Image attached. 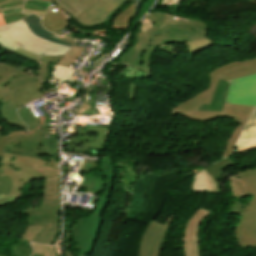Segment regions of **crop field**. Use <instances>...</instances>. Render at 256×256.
Returning <instances> with one entry per match:
<instances>
[{
	"instance_id": "8a807250",
	"label": "crop field",
	"mask_w": 256,
	"mask_h": 256,
	"mask_svg": "<svg viewBox=\"0 0 256 256\" xmlns=\"http://www.w3.org/2000/svg\"><path fill=\"white\" fill-rule=\"evenodd\" d=\"M254 73H256V58L229 62L217 69H214L209 73L208 88L173 107L170 115L176 116L179 114L196 121H209L224 116L237 119L240 124L235 129L228 141L224 153V157H226L231 154L233 145L254 107L225 103L223 112L195 110L199 108L203 103H210L214 90L220 79L227 81Z\"/></svg>"
},
{
	"instance_id": "ac0d7876",
	"label": "crop field",
	"mask_w": 256,
	"mask_h": 256,
	"mask_svg": "<svg viewBox=\"0 0 256 256\" xmlns=\"http://www.w3.org/2000/svg\"><path fill=\"white\" fill-rule=\"evenodd\" d=\"M212 30L197 25H168L161 30H154L148 34H137V43L126 52L120 62L113 64H130L137 69L151 75L149 61L155 48L161 44L186 42L193 39L206 37V31Z\"/></svg>"
},
{
	"instance_id": "34b2d1b8",
	"label": "crop field",
	"mask_w": 256,
	"mask_h": 256,
	"mask_svg": "<svg viewBox=\"0 0 256 256\" xmlns=\"http://www.w3.org/2000/svg\"><path fill=\"white\" fill-rule=\"evenodd\" d=\"M57 163L58 161L2 153L0 156V175L1 177L10 176L13 187L8 196L0 195V206L15 201L20 193L21 183L57 175Z\"/></svg>"
},
{
	"instance_id": "412701ff",
	"label": "crop field",
	"mask_w": 256,
	"mask_h": 256,
	"mask_svg": "<svg viewBox=\"0 0 256 256\" xmlns=\"http://www.w3.org/2000/svg\"><path fill=\"white\" fill-rule=\"evenodd\" d=\"M234 176L245 180L246 187L254 198L245 205L234 202L230 206L227 213L241 217L233 231V238L242 248H256V169L239 172Z\"/></svg>"
},
{
	"instance_id": "f4fd0767",
	"label": "crop field",
	"mask_w": 256,
	"mask_h": 256,
	"mask_svg": "<svg viewBox=\"0 0 256 256\" xmlns=\"http://www.w3.org/2000/svg\"><path fill=\"white\" fill-rule=\"evenodd\" d=\"M0 45L11 52L20 47L39 56L62 55L70 49L35 36L24 20L0 28Z\"/></svg>"
},
{
	"instance_id": "dd49c442",
	"label": "crop field",
	"mask_w": 256,
	"mask_h": 256,
	"mask_svg": "<svg viewBox=\"0 0 256 256\" xmlns=\"http://www.w3.org/2000/svg\"><path fill=\"white\" fill-rule=\"evenodd\" d=\"M104 219L101 217L80 218L79 224L65 234V256L90 254L98 239Z\"/></svg>"
},
{
	"instance_id": "e52e79f7",
	"label": "crop field",
	"mask_w": 256,
	"mask_h": 256,
	"mask_svg": "<svg viewBox=\"0 0 256 256\" xmlns=\"http://www.w3.org/2000/svg\"><path fill=\"white\" fill-rule=\"evenodd\" d=\"M56 200H43L40 208L22 210V214H29L27 224L45 226L41 233L34 238V242L50 244L59 229L58 207Z\"/></svg>"
},
{
	"instance_id": "d8731c3e",
	"label": "crop field",
	"mask_w": 256,
	"mask_h": 256,
	"mask_svg": "<svg viewBox=\"0 0 256 256\" xmlns=\"http://www.w3.org/2000/svg\"><path fill=\"white\" fill-rule=\"evenodd\" d=\"M28 69L0 64V101L6 102L24 85L38 81L34 74L27 75Z\"/></svg>"
},
{
	"instance_id": "5a996713",
	"label": "crop field",
	"mask_w": 256,
	"mask_h": 256,
	"mask_svg": "<svg viewBox=\"0 0 256 256\" xmlns=\"http://www.w3.org/2000/svg\"><path fill=\"white\" fill-rule=\"evenodd\" d=\"M44 87L40 81L27 85L19 90L18 92L11 97L8 104L3 105L1 112L10 123L23 126L24 130L27 129V126L20 120L16 114V106H22L30 101L44 97L43 94L39 91Z\"/></svg>"
},
{
	"instance_id": "3316defc",
	"label": "crop field",
	"mask_w": 256,
	"mask_h": 256,
	"mask_svg": "<svg viewBox=\"0 0 256 256\" xmlns=\"http://www.w3.org/2000/svg\"><path fill=\"white\" fill-rule=\"evenodd\" d=\"M232 165L233 162L227 157L202 169L195 175L191 192L223 193L215 179Z\"/></svg>"
},
{
	"instance_id": "28ad6ade",
	"label": "crop field",
	"mask_w": 256,
	"mask_h": 256,
	"mask_svg": "<svg viewBox=\"0 0 256 256\" xmlns=\"http://www.w3.org/2000/svg\"><path fill=\"white\" fill-rule=\"evenodd\" d=\"M109 127L89 126L81 136L73 135L72 152L83 154L90 153V148L103 150L106 147V137L110 134Z\"/></svg>"
},
{
	"instance_id": "d1516ede",
	"label": "crop field",
	"mask_w": 256,
	"mask_h": 256,
	"mask_svg": "<svg viewBox=\"0 0 256 256\" xmlns=\"http://www.w3.org/2000/svg\"><path fill=\"white\" fill-rule=\"evenodd\" d=\"M172 218L171 215L164 225L150 222L142 235L137 256H160L164 234Z\"/></svg>"
},
{
	"instance_id": "22f410ed",
	"label": "crop field",
	"mask_w": 256,
	"mask_h": 256,
	"mask_svg": "<svg viewBox=\"0 0 256 256\" xmlns=\"http://www.w3.org/2000/svg\"><path fill=\"white\" fill-rule=\"evenodd\" d=\"M225 102L256 106V74L231 81Z\"/></svg>"
},
{
	"instance_id": "cbeb9de0",
	"label": "crop field",
	"mask_w": 256,
	"mask_h": 256,
	"mask_svg": "<svg viewBox=\"0 0 256 256\" xmlns=\"http://www.w3.org/2000/svg\"><path fill=\"white\" fill-rule=\"evenodd\" d=\"M211 213L199 208L187 223L184 232V253L185 256H200L198 228L203 219Z\"/></svg>"
},
{
	"instance_id": "5142ce71",
	"label": "crop field",
	"mask_w": 256,
	"mask_h": 256,
	"mask_svg": "<svg viewBox=\"0 0 256 256\" xmlns=\"http://www.w3.org/2000/svg\"><path fill=\"white\" fill-rule=\"evenodd\" d=\"M123 1L124 0H99L92 8L80 14L78 19H75L84 25L102 23Z\"/></svg>"
},
{
	"instance_id": "d9b57169",
	"label": "crop field",
	"mask_w": 256,
	"mask_h": 256,
	"mask_svg": "<svg viewBox=\"0 0 256 256\" xmlns=\"http://www.w3.org/2000/svg\"><path fill=\"white\" fill-rule=\"evenodd\" d=\"M47 103H49V101ZM37 118L42 123L39 128L38 138H37V144L39 147L40 154H49L54 157V158H49V159L59 160L58 135L51 134L50 128L48 127V125L47 126L43 125V124H47L50 122L49 118L46 114L41 117H37ZM46 135H48V139H45Z\"/></svg>"
},
{
	"instance_id": "733c2abd",
	"label": "crop field",
	"mask_w": 256,
	"mask_h": 256,
	"mask_svg": "<svg viewBox=\"0 0 256 256\" xmlns=\"http://www.w3.org/2000/svg\"><path fill=\"white\" fill-rule=\"evenodd\" d=\"M56 8V11H51V8ZM72 17L69 16L66 12L60 9V7L56 6L55 4H52L47 13L45 14L42 24L43 26L55 33L57 31H61L62 29L68 27L67 22L71 19Z\"/></svg>"
},
{
	"instance_id": "4a817a6b",
	"label": "crop field",
	"mask_w": 256,
	"mask_h": 256,
	"mask_svg": "<svg viewBox=\"0 0 256 256\" xmlns=\"http://www.w3.org/2000/svg\"><path fill=\"white\" fill-rule=\"evenodd\" d=\"M39 126L40 125L30 127V130L23 134L20 145L22 155L38 157L39 152L36 144V138Z\"/></svg>"
},
{
	"instance_id": "bc2a9ffb",
	"label": "crop field",
	"mask_w": 256,
	"mask_h": 256,
	"mask_svg": "<svg viewBox=\"0 0 256 256\" xmlns=\"http://www.w3.org/2000/svg\"><path fill=\"white\" fill-rule=\"evenodd\" d=\"M74 72L75 70L51 63L50 80L48 81L51 85L49 87L58 90L63 80L73 83L72 75Z\"/></svg>"
},
{
	"instance_id": "214f88e0",
	"label": "crop field",
	"mask_w": 256,
	"mask_h": 256,
	"mask_svg": "<svg viewBox=\"0 0 256 256\" xmlns=\"http://www.w3.org/2000/svg\"><path fill=\"white\" fill-rule=\"evenodd\" d=\"M98 0H80L75 3L74 0H55L60 7H62L69 14L78 17V15L90 7H92Z\"/></svg>"
},
{
	"instance_id": "92a150f3",
	"label": "crop field",
	"mask_w": 256,
	"mask_h": 256,
	"mask_svg": "<svg viewBox=\"0 0 256 256\" xmlns=\"http://www.w3.org/2000/svg\"><path fill=\"white\" fill-rule=\"evenodd\" d=\"M229 84L220 80L210 105L203 104L198 110L222 111Z\"/></svg>"
},
{
	"instance_id": "dafd665d",
	"label": "crop field",
	"mask_w": 256,
	"mask_h": 256,
	"mask_svg": "<svg viewBox=\"0 0 256 256\" xmlns=\"http://www.w3.org/2000/svg\"><path fill=\"white\" fill-rule=\"evenodd\" d=\"M25 22L27 23L28 27L32 30V32L34 34H36L37 36L44 38L46 40L49 41H53L56 42L58 44H62V45H66V46H70L72 47V44H68V43H64L61 41H58L56 39L51 38L53 34H51L50 32L46 31L40 24V18H38L35 15H29L27 18L24 19Z\"/></svg>"
},
{
	"instance_id": "00972430",
	"label": "crop field",
	"mask_w": 256,
	"mask_h": 256,
	"mask_svg": "<svg viewBox=\"0 0 256 256\" xmlns=\"http://www.w3.org/2000/svg\"><path fill=\"white\" fill-rule=\"evenodd\" d=\"M136 3H131L124 11L116 14L111 29H129L131 19L135 15Z\"/></svg>"
},
{
	"instance_id": "a9b5d70f",
	"label": "crop field",
	"mask_w": 256,
	"mask_h": 256,
	"mask_svg": "<svg viewBox=\"0 0 256 256\" xmlns=\"http://www.w3.org/2000/svg\"><path fill=\"white\" fill-rule=\"evenodd\" d=\"M256 148V127L242 132L234 153Z\"/></svg>"
},
{
	"instance_id": "4177f3b9",
	"label": "crop field",
	"mask_w": 256,
	"mask_h": 256,
	"mask_svg": "<svg viewBox=\"0 0 256 256\" xmlns=\"http://www.w3.org/2000/svg\"><path fill=\"white\" fill-rule=\"evenodd\" d=\"M102 163L104 165V171L106 172V176H107L106 184H107L108 190L107 192L103 193L101 199L104 201H109V197L112 190V183H113L115 168L111 158H102Z\"/></svg>"
},
{
	"instance_id": "730fd06b",
	"label": "crop field",
	"mask_w": 256,
	"mask_h": 256,
	"mask_svg": "<svg viewBox=\"0 0 256 256\" xmlns=\"http://www.w3.org/2000/svg\"><path fill=\"white\" fill-rule=\"evenodd\" d=\"M228 186L232 197H238V199H240L249 196L245 187V183L241 179L233 176L230 177L228 179Z\"/></svg>"
},
{
	"instance_id": "eef30255",
	"label": "crop field",
	"mask_w": 256,
	"mask_h": 256,
	"mask_svg": "<svg viewBox=\"0 0 256 256\" xmlns=\"http://www.w3.org/2000/svg\"><path fill=\"white\" fill-rule=\"evenodd\" d=\"M63 56H60V57L42 56V65L40 66L36 74L42 80L43 83L49 79L50 62L57 64L62 59Z\"/></svg>"
},
{
	"instance_id": "ae1a2a85",
	"label": "crop field",
	"mask_w": 256,
	"mask_h": 256,
	"mask_svg": "<svg viewBox=\"0 0 256 256\" xmlns=\"http://www.w3.org/2000/svg\"><path fill=\"white\" fill-rule=\"evenodd\" d=\"M22 134V132H8L5 153L21 155L19 145Z\"/></svg>"
},
{
	"instance_id": "d3111659",
	"label": "crop field",
	"mask_w": 256,
	"mask_h": 256,
	"mask_svg": "<svg viewBox=\"0 0 256 256\" xmlns=\"http://www.w3.org/2000/svg\"><path fill=\"white\" fill-rule=\"evenodd\" d=\"M48 6V3L27 0L24 4L23 12H25L26 14L36 13L37 15L42 17L45 14V10Z\"/></svg>"
},
{
	"instance_id": "750c4746",
	"label": "crop field",
	"mask_w": 256,
	"mask_h": 256,
	"mask_svg": "<svg viewBox=\"0 0 256 256\" xmlns=\"http://www.w3.org/2000/svg\"><path fill=\"white\" fill-rule=\"evenodd\" d=\"M47 185L43 199H59V177L46 178Z\"/></svg>"
},
{
	"instance_id": "bd1437ed",
	"label": "crop field",
	"mask_w": 256,
	"mask_h": 256,
	"mask_svg": "<svg viewBox=\"0 0 256 256\" xmlns=\"http://www.w3.org/2000/svg\"><path fill=\"white\" fill-rule=\"evenodd\" d=\"M28 240L19 239V244L12 245V254L11 256H30L32 249L29 245Z\"/></svg>"
},
{
	"instance_id": "1d83c4d3",
	"label": "crop field",
	"mask_w": 256,
	"mask_h": 256,
	"mask_svg": "<svg viewBox=\"0 0 256 256\" xmlns=\"http://www.w3.org/2000/svg\"><path fill=\"white\" fill-rule=\"evenodd\" d=\"M214 43H216V42H214L212 39L207 37V38H202V39L186 42L185 44H186L189 51L195 53V52H197L201 49H204V48H206V47H208V46H210Z\"/></svg>"
},
{
	"instance_id": "120bbe31",
	"label": "crop field",
	"mask_w": 256,
	"mask_h": 256,
	"mask_svg": "<svg viewBox=\"0 0 256 256\" xmlns=\"http://www.w3.org/2000/svg\"><path fill=\"white\" fill-rule=\"evenodd\" d=\"M5 141H6V136H2L0 133V153L5 150ZM12 187V182L9 177L5 178H0V194H6L8 195L10 189Z\"/></svg>"
},
{
	"instance_id": "d32e631a",
	"label": "crop field",
	"mask_w": 256,
	"mask_h": 256,
	"mask_svg": "<svg viewBox=\"0 0 256 256\" xmlns=\"http://www.w3.org/2000/svg\"><path fill=\"white\" fill-rule=\"evenodd\" d=\"M84 47L74 46L63 59L58 63L59 65H63L68 67L74 60H76L83 52Z\"/></svg>"
},
{
	"instance_id": "5866460e",
	"label": "crop field",
	"mask_w": 256,
	"mask_h": 256,
	"mask_svg": "<svg viewBox=\"0 0 256 256\" xmlns=\"http://www.w3.org/2000/svg\"><path fill=\"white\" fill-rule=\"evenodd\" d=\"M85 99H84V103L81 104L79 106V109L80 110H76L77 113H75L74 115L76 114H95L93 108H92V94H85Z\"/></svg>"
},
{
	"instance_id": "028f5c9d",
	"label": "crop field",
	"mask_w": 256,
	"mask_h": 256,
	"mask_svg": "<svg viewBox=\"0 0 256 256\" xmlns=\"http://www.w3.org/2000/svg\"><path fill=\"white\" fill-rule=\"evenodd\" d=\"M85 180L80 187H87L89 189L101 191L103 186L102 178L99 177H84Z\"/></svg>"
},
{
	"instance_id": "e1f06a70",
	"label": "crop field",
	"mask_w": 256,
	"mask_h": 256,
	"mask_svg": "<svg viewBox=\"0 0 256 256\" xmlns=\"http://www.w3.org/2000/svg\"><path fill=\"white\" fill-rule=\"evenodd\" d=\"M119 76L123 77V78H126L128 80H132V79H135V78H146V77H150L144 73H141L139 72L138 70L132 68V67H129L127 66L120 74Z\"/></svg>"
},
{
	"instance_id": "0bd39190",
	"label": "crop field",
	"mask_w": 256,
	"mask_h": 256,
	"mask_svg": "<svg viewBox=\"0 0 256 256\" xmlns=\"http://www.w3.org/2000/svg\"><path fill=\"white\" fill-rule=\"evenodd\" d=\"M20 117L25 121L27 122L30 126H33V125H37L39 124L40 122L38 121L37 118H35V116L32 114V112L28 109V108H21L19 111H18Z\"/></svg>"
},
{
	"instance_id": "b80d0937",
	"label": "crop field",
	"mask_w": 256,
	"mask_h": 256,
	"mask_svg": "<svg viewBox=\"0 0 256 256\" xmlns=\"http://www.w3.org/2000/svg\"><path fill=\"white\" fill-rule=\"evenodd\" d=\"M35 253H45V256H56L53 246L31 243Z\"/></svg>"
},
{
	"instance_id": "c035e120",
	"label": "crop field",
	"mask_w": 256,
	"mask_h": 256,
	"mask_svg": "<svg viewBox=\"0 0 256 256\" xmlns=\"http://www.w3.org/2000/svg\"><path fill=\"white\" fill-rule=\"evenodd\" d=\"M164 17H165L164 14H149V15H147L146 18L142 21V23L154 21V27L149 30H146L145 33L152 31L154 29H158L160 24L162 23Z\"/></svg>"
},
{
	"instance_id": "c21b1889",
	"label": "crop field",
	"mask_w": 256,
	"mask_h": 256,
	"mask_svg": "<svg viewBox=\"0 0 256 256\" xmlns=\"http://www.w3.org/2000/svg\"><path fill=\"white\" fill-rule=\"evenodd\" d=\"M41 229L42 227H39V226L26 225L24 229L25 232L22 234L20 238H24L32 241L33 238L40 233Z\"/></svg>"
},
{
	"instance_id": "03da06ac",
	"label": "crop field",
	"mask_w": 256,
	"mask_h": 256,
	"mask_svg": "<svg viewBox=\"0 0 256 256\" xmlns=\"http://www.w3.org/2000/svg\"><path fill=\"white\" fill-rule=\"evenodd\" d=\"M23 1L7 4L0 6V11L3 14H9V13H15V12H20L22 9Z\"/></svg>"
},
{
	"instance_id": "b54c1fbb",
	"label": "crop field",
	"mask_w": 256,
	"mask_h": 256,
	"mask_svg": "<svg viewBox=\"0 0 256 256\" xmlns=\"http://www.w3.org/2000/svg\"><path fill=\"white\" fill-rule=\"evenodd\" d=\"M153 2H154V0H139V3H138V15L136 17L135 24L147 12V10L151 7Z\"/></svg>"
},
{
	"instance_id": "5d738f31",
	"label": "crop field",
	"mask_w": 256,
	"mask_h": 256,
	"mask_svg": "<svg viewBox=\"0 0 256 256\" xmlns=\"http://www.w3.org/2000/svg\"><path fill=\"white\" fill-rule=\"evenodd\" d=\"M15 52L24 56V57H26V58H28V59H30V60H32V61H34V62H37L40 65V57L39 56L28 53V52H26V51H24L20 48L18 50H16Z\"/></svg>"
},
{
	"instance_id": "d23c7cc5",
	"label": "crop field",
	"mask_w": 256,
	"mask_h": 256,
	"mask_svg": "<svg viewBox=\"0 0 256 256\" xmlns=\"http://www.w3.org/2000/svg\"><path fill=\"white\" fill-rule=\"evenodd\" d=\"M177 17V16H175ZM171 24H198V25H205L204 23H201V22H195V21H190V20H187V19H183V18H180V17H177V19L173 22H170Z\"/></svg>"
},
{
	"instance_id": "425ffa30",
	"label": "crop field",
	"mask_w": 256,
	"mask_h": 256,
	"mask_svg": "<svg viewBox=\"0 0 256 256\" xmlns=\"http://www.w3.org/2000/svg\"><path fill=\"white\" fill-rule=\"evenodd\" d=\"M108 202H103V201H100L94 215L95 216H100V214L103 212L104 208L106 207ZM109 204V203H108ZM93 215V214H92Z\"/></svg>"
},
{
	"instance_id": "25e5ab78",
	"label": "crop field",
	"mask_w": 256,
	"mask_h": 256,
	"mask_svg": "<svg viewBox=\"0 0 256 256\" xmlns=\"http://www.w3.org/2000/svg\"><path fill=\"white\" fill-rule=\"evenodd\" d=\"M129 99H136V85L130 81Z\"/></svg>"
},
{
	"instance_id": "73cf0c24",
	"label": "crop field",
	"mask_w": 256,
	"mask_h": 256,
	"mask_svg": "<svg viewBox=\"0 0 256 256\" xmlns=\"http://www.w3.org/2000/svg\"><path fill=\"white\" fill-rule=\"evenodd\" d=\"M255 126H256V109H255V111H254V113H253L251 119L249 120V122H248V124H247L245 129H248V128H251V127H255Z\"/></svg>"
},
{
	"instance_id": "89e229c0",
	"label": "crop field",
	"mask_w": 256,
	"mask_h": 256,
	"mask_svg": "<svg viewBox=\"0 0 256 256\" xmlns=\"http://www.w3.org/2000/svg\"><path fill=\"white\" fill-rule=\"evenodd\" d=\"M181 0H163L160 7L163 6H171V5H177L180 3Z\"/></svg>"
},
{
	"instance_id": "1f2cbd36",
	"label": "crop field",
	"mask_w": 256,
	"mask_h": 256,
	"mask_svg": "<svg viewBox=\"0 0 256 256\" xmlns=\"http://www.w3.org/2000/svg\"><path fill=\"white\" fill-rule=\"evenodd\" d=\"M151 27H153V22L142 24V27L139 32H144L146 29L151 28Z\"/></svg>"
},
{
	"instance_id": "dbb93151",
	"label": "crop field",
	"mask_w": 256,
	"mask_h": 256,
	"mask_svg": "<svg viewBox=\"0 0 256 256\" xmlns=\"http://www.w3.org/2000/svg\"><path fill=\"white\" fill-rule=\"evenodd\" d=\"M171 19H172L171 15H166V17H165V19H164V21H163V23H162V25H161L160 28H163L164 26H166L167 24H169V22L171 21Z\"/></svg>"
},
{
	"instance_id": "0fb4a251",
	"label": "crop field",
	"mask_w": 256,
	"mask_h": 256,
	"mask_svg": "<svg viewBox=\"0 0 256 256\" xmlns=\"http://www.w3.org/2000/svg\"><path fill=\"white\" fill-rule=\"evenodd\" d=\"M53 38H56V39L61 40V41H65V42L73 43V44L75 43V41H73V40L66 39V38H62V37L55 36V35H53Z\"/></svg>"
},
{
	"instance_id": "1d79db26",
	"label": "crop field",
	"mask_w": 256,
	"mask_h": 256,
	"mask_svg": "<svg viewBox=\"0 0 256 256\" xmlns=\"http://www.w3.org/2000/svg\"><path fill=\"white\" fill-rule=\"evenodd\" d=\"M78 34L69 32L65 37L76 40L78 38Z\"/></svg>"
},
{
	"instance_id": "9d1cf04e",
	"label": "crop field",
	"mask_w": 256,
	"mask_h": 256,
	"mask_svg": "<svg viewBox=\"0 0 256 256\" xmlns=\"http://www.w3.org/2000/svg\"><path fill=\"white\" fill-rule=\"evenodd\" d=\"M72 89L76 90V92L74 93L73 97L71 99H69V101H71V102L79 95V93L81 91L80 89H77L74 87H72Z\"/></svg>"
},
{
	"instance_id": "447ae74e",
	"label": "crop field",
	"mask_w": 256,
	"mask_h": 256,
	"mask_svg": "<svg viewBox=\"0 0 256 256\" xmlns=\"http://www.w3.org/2000/svg\"><path fill=\"white\" fill-rule=\"evenodd\" d=\"M14 1H18V0H0V5L5 4V3H9V2H14ZM45 1L53 2L54 0H45Z\"/></svg>"
},
{
	"instance_id": "0765c3eb",
	"label": "crop field",
	"mask_w": 256,
	"mask_h": 256,
	"mask_svg": "<svg viewBox=\"0 0 256 256\" xmlns=\"http://www.w3.org/2000/svg\"><path fill=\"white\" fill-rule=\"evenodd\" d=\"M1 25H5V23H4V20H3V18H2V15H1V13H0V26Z\"/></svg>"
},
{
	"instance_id": "db79e9e6",
	"label": "crop field",
	"mask_w": 256,
	"mask_h": 256,
	"mask_svg": "<svg viewBox=\"0 0 256 256\" xmlns=\"http://www.w3.org/2000/svg\"><path fill=\"white\" fill-rule=\"evenodd\" d=\"M43 92V94H46V93H50V92H54L53 90H51V89H47V90H45V91H42Z\"/></svg>"
},
{
	"instance_id": "7b73153f",
	"label": "crop field",
	"mask_w": 256,
	"mask_h": 256,
	"mask_svg": "<svg viewBox=\"0 0 256 256\" xmlns=\"http://www.w3.org/2000/svg\"><path fill=\"white\" fill-rule=\"evenodd\" d=\"M32 256H44V254H35V253H33Z\"/></svg>"
},
{
	"instance_id": "78b8030e",
	"label": "crop field",
	"mask_w": 256,
	"mask_h": 256,
	"mask_svg": "<svg viewBox=\"0 0 256 256\" xmlns=\"http://www.w3.org/2000/svg\"><path fill=\"white\" fill-rule=\"evenodd\" d=\"M247 2L256 4V0H248Z\"/></svg>"
},
{
	"instance_id": "0f1d7ab4",
	"label": "crop field",
	"mask_w": 256,
	"mask_h": 256,
	"mask_svg": "<svg viewBox=\"0 0 256 256\" xmlns=\"http://www.w3.org/2000/svg\"><path fill=\"white\" fill-rule=\"evenodd\" d=\"M126 1H130V2H136V0H126Z\"/></svg>"
},
{
	"instance_id": "e1d0b9f6",
	"label": "crop field",
	"mask_w": 256,
	"mask_h": 256,
	"mask_svg": "<svg viewBox=\"0 0 256 256\" xmlns=\"http://www.w3.org/2000/svg\"><path fill=\"white\" fill-rule=\"evenodd\" d=\"M0 130H2L1 127H0Z\"/></svg>"
}]
</instances>
